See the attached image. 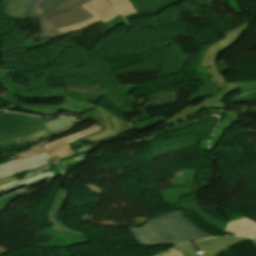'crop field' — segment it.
Masks as SVG:
<instances>
[{
  "label": "crop field",
  "instance_id": "1",
  "mask_svg": "<svg viewBox=\"0 0 256 256\" xmlns=\"http://www.w3.org/2000/svg\"><path fill=\"white\" fill-rule=\"evenodd\" d=\"M139 244L144 246L175 244L213 237L196 227L181 211L159 215L143 227H129Z\"/></svg>",
  "mask_w": 256,
  "mask_h": 256
},
{
  "label": "crop field",
  "instance_id": "2",
  "mask_svg": "<svg viewBox=\"0 0 256 256\" xmlns=\"http://www.w3.org/2000/svg\"><path fill=\"white\" fill-rule=\"evenodd\" d=\"M88 1L90 0H67L59 3L62 8L45 14L42 13L37 5L30 9L40 19L42 28L41 37L47 36L50 40L54 37L61 36L58 28L94 17L81 6ZM107 1L109 2V0Z\"/></svg>",
  "mask_w": 256,
  "mask_h": 256
},
{
  "label": "crop field",
  "instance_id": "3",
  "mask_svg": "<svg viewBox=\"0 0 256 256\" xmlns=\"http://www.w3.org/2000/svg\"><path fill=\"white\" fill-rule=\"evenodd\" d=\"M248 24L249 22L246 19L245 23L225 32L226 36L213 43L205 53L201 66L205 67L217 88H221L226 83V80L216 67V59L220 53L234 44L243 35Z\"/></svg>",
  "mask_w": 256,
  "mask_h": 256
},
{
  "label": "crop field",
  "instance_id": "4",
  "mask_svg": "<svg viewBox=\"0 0 256 256\" xmlns=\"http://www.w3.org/2000/svg\"><path fill=\"white\" fill-rule=\"evenodd\" d=\"M243 237H218L203 241L188 242L175 246L183 256H201L197 251H202L203 256H217L226 248L246 240Z\"/></svg>",
  "mask_w": 256,
  "mask_h": 256
},
{
  "label": "crop field",
  "instance_id": "5",
  "mask_svg": "<svg viewBox=\"0 0 256 256\" xmlns=\"http://www.w3.org/2000/svg\"><path fill=\"white\" fill-rule=\"evenodd\" d=\"M45 128L44 124L20 121L7 113H0V147L15 144L13 138Z\"/></svg>",
  "mask_w": 256,
  "mask_h": 256
},
{
  "label": "crop field",
  "instance_id": "6",
  "mask_svg": "<svg viewBox=\"0 0 256 256\" xmlns=\"http://www.w3.org/2000/svg\"><path fill=\"white\" fill-rule=\"evenodd\" d=\"M96 108L101 112L106 128L103 132L97 133L95 135L92 134L93 136L85 138L86 142L93 144L97 141L112 137L122 132L132 130V124L130 122L118 118L113 112L106 111L98 106Z\"/></svg>",
  "mask_w": 256,
  "mask_h": 256
},
{
  "label": "crop field",
  "instance_id": "7",
  "mask_svg": "<svg viewBox=\"0 0 256 256\" xmlns=\"http://www.w3.org/2000/svg\"><path fill=\"white\" fill-rule=\"evenodd\" d=\"M48 158H50L49 155L44 151L28 158H23L20 160L14 159L9 162L1 163L0 178L15 176V174L24 170L33 169L44 165L47 163L46 160Z\"/></svg>",
  "mask_w": 256,
  "mask_h": 256
},
{
  "label": "crop field",
  "instance_id": "8",
  "mask_svg": "<svg viewBox=\"0 0 256 256\" xmlns=\"http://www.w3.org/2000/svg\"><path fill=\"white\" fill-rule=\"evenodd\" d=\"M62 160L59 159L56 155L51 157L49 160H47L48 164L38 167L36 169L31 170L30 173H26L25 177L22 178L21 180H16L8 184H4L0 186V190H3L4 192L13 188H17L23 185H31L36 182L42 181L44 179L54 177L55 175L52 174V172H47L50 170L52 167L57 165L59 162Z\"/></svg>",
  "mask_w": 256,
  "mask_h": 256
},
{
  "label": "crop field",
  "instance_id": "9",
  "mask_svg": "<svg viewBox=\"0 0 256 256\" xmlns=\"http://www.w3.org/2000/svg\"><path fill=\"white\" fill-rule=\"evenodd\" d=\"M69 194H70V191H65V190H59L57 192V194L52 202L51 208L47 214V218L53 226V227H51V229H53L55 231H61V232H70L72 234H76L78 236L85 237V236L79 235L78 233H76L72 230H69V229L63 227L62 224H59L57 214L63 207Z\"/></svg>",
  "mask_w": 256,
  "mask_h": 256
},
{
  "label": "crop field",
  "instance_id": "10",
  "mask_svg": "<svg viewBox=\"0 0 256 256\" xmlns=\"http://www.w3.org/2000/svg\"><path fill=\"white\" fill-rule=\"evenodd\" d=\"M83 6L104 23L120 14L113 5L105 0H93Z\"/></svg>",
  "mask_w": 256,
  "mask_h": 256
},
{
  "label": "crop field",
  "instance_id": "11",
  "mask_svg": "<svg viewBox=\"0 0 256 256\" xmlns=\"http://www.w3.org/2000/svg\"><path fill=\"white\" fill-rule=\"evenodd\" d=\"M238 89H240V87L237 82L226 83L224 87L221 88L217 93L211 95V97H209L208 99H206L205 101L197 105L202 107H207V108H214V109L224 108L225 106L222 102L224 97L235 92Z\"/></svg>",
  "mask_w": 256,
  "mask_h": 256
},
{
  "label": "crop field",
  "instance_id": "12",
  "mask_svg": "<svg viewBox=\"0 0 256 256\" xmlns=\"http://www.w3.org/2000/svg\"><path fill=\"white\" fill-rule=\"evenodd\" d=\"M224 231L235 235L254 237L256 236V223L243 218L229 222Z\"/></svg>",
  "mask_w": 256,
  "mask_h": 256
},
{
  "label": "crop field",
  "instance_id": "13",
  "mask_svg": "<svg viewBox=\"0 0 256 256\" xmlns=\"http://www.w3.org/2000/svg\"><path fill=\"white\" fill-rule=\"evenodd\" d=\"M21 110L39 113L44 115H56L61 109L71 110L73 112H84L77 108H72L64 105H33V104H24L20 103L19 108Z\"/></svg>",
  "mask_w": 256,
  "mask_h": 256
},
{
  "label": "crop field",
  "instance_id": "14",
  "mask_svg": "<svg viewBox=\"0 0 256 256\" xmlns=\"http://www.w3.org/2000/svg\"><path fill=\"white\" fill-rule=\"evenodd\" d=\"M101 127L98 126L97 124L89 129H86L80 133H77V134H73V135H70L68 137H65L63 139H59V140H56L52 143H49V144H46L44 145V147L46 148L47 152H52L64 145H67V144H70V143H74L76 140L78 139H81V138H84L86 136H89V135H92V134H95L97 133L98 130H100Z\"/></svg>",
  "mask_w": 256,
  "mask_h": 256
},
{
  "label": "crop field",
  "instance_id": "15",
  "mask_svg": "<svg viewBox=\"0 0 256 256\" xmlns=\"http://www.w3.org/2000/svg\"><path fill=\"white\" fill-rule=\"evenodd\" d=\"M166 0H129L137 13L158 9Z\"/></svg>",
  "mask_w": 256,
  "mask_h": 256
},
{
  "label": "crop field",
  "instance_id": "16",
  "mask_svg": "<svg viewBox=\"0 0 256 256\" xmlns=\"http://www.w3.org/2000/svg\"><path fill=\"white\" fill-rule=\"evenodd\" d=\"M201 109H202V107H199V106H187L184 109H182L180 112L175 114L174 116L168 118V120L165 121V123L168 126L175 125L176 123H179V122L183 121L184 119L188 118L189 116L197 113Z\"/></svg>",
  "mask_w": 256,
  "mask_h": 256
},
{
  "label": "crop field",
  "instance_id": "17",
  "mask_svg": "<svg viewBox=\"0 0 256 256\" xmlns=\"http://www.w3.org/2000/svg\"><path fill=\"white\" fill-rule=\"evenodd\" d=\"M73 125L74 124L69 125V126L63 128V129L59 130V131L67 129V128L73 126ZM59 131H56V132H59ZM56 132H53V133H56ZM53 133H51L47 128H45V129L39 130L37 132L27 134V135L22 136V137H17V138H15V141H17L18 144H22V143H26V142H29V141L40 139L42 137H45V136L53 134Z\"/></svg>",
  "mask_w": 256,
  "mask_h": 256
},
{
  "label": "crop field",
  "instance_id": "18",
  "mask_svg": "<svg viewBox=\"0 0 256 256\" xmlns=\"http://www.w3.org/2000/svg\"><path fill=\"white\" fill-rule=\"evenodd\" d=\"M74 122L75 120L72 118H56L45 123V125L51 132H53Z\"/></svg>",
  "mask_w": 256,
  "mask_h": 256
},
{
  "label": "crop field",
  "instance_id": "19",
  "mask_svg": "<svg viewBox=\"0 0 256 256\" xmlns=\"http://www.w3.org/2000/svg\"><path fill=\"white\" fill-rule=\"evenodd\" d=\"M123 16L136 13L127 0H111Z\"/></svg>",
  "mask_w": 256,
  "mask_h": 256
},
{
  "label": "crop field",
  "instance_id": "20",
  "mask_svg": "<svg viewBox=\"0 0 256 256\" xmlns=\"http://www.w3.org/2000/svg\"><path fill=\"white\" fill-rule=\"evenodd\" d=\"M97 22H100L99 19H97L96 17L90 19V20H86L82 23H79V24H76V25H72V26H67L65 28H61L60 31L63 34L65 33H68V32H71V31H74V30H77V29H80V28H83V27H86L88 25H91V24H94V23H97Z\"/></svg>",
  "mask_w": 256,
  "mask_h": 256
},
{
  "label": "crop field",
  "instance_id": "21",
  "mask_svg": "<svg viewBox=\"0 0 256 256\" xmlns=\"http://www.w3.org/2000/svg\"><path fill=\"white\" fill-rule=\"evenodd\" d=\"M62 1L64 0H41L39 3H37V5L41 8V10L44 13L50 10L60 8V6L57 3Z\"/></svg>",
  "mask_w": 256,
  "mask_h": 256
},
{
  "label": "crop field",
  "instance_id": "22",
  "mask_svg": "<svg viewBox=\"0 0 256 256\" xmlns=\"http://www.w3.org/2000/svg\"><path fill=\"white\" fill-rule=\"evenodd\" d=\"M55 154H57V156L60 157L62 160L70 156L77 155V153L69 145L62 147L52 153H49L50 157Z\"/></svg>",
  "mask_w": 256,
  "mask_h": 256
},
{
  "label": "crop field",
  "instance_id": "23",
  "mask_svg": "<svg viewBox=\"0 0 256 256\" xmlns=\"http://www.w3.org/2000/svg\"><path fill=\"white\" fill-rule=\"evenodd\" d=\"M62 104L72 106V107H77L85 111H89L90 109L93 108V106L87 102H80V101H74V100H68V99H64Z\"/></svg>",
  "mask_w": 256,
  "mask_h": 256
},
{
  "label": "crop field",
  "instance_id": "24",
  "mask_svg": "<svg viewBox=\"0 0 256 256\" xmlns=\"http://www.w3.org/2000/svg\"><path fill=\"white\" fill-rule=\"evenodd\" d=\"M7 17H14L19 15L18 0H11L9 5L5 8Z\"/></svg>",
  "mask_w": 256,
  "mask_h": 256
},
{
  "label": "crop field",
  "instance_id": "25",
  "mask_svg": "<svg viewBox=\"0 0 256 256\" xmlns=\"http://www.w3.org/2000/svg\"><path fill=\"white\" fill-rule=\"evenodd\" d=\"M21 120L24 121H29V122H34V123H44L46 122L45 120L39 119L37 117H32V116H27V115H21V114H14V113H9Z\"/></svg>",
  "mask_w": 256,
  "mask_h": 256
},
{
  "label": "crop field",
  "instance_id": "26",
  "mask_svg": "<svg viewBox=\"0 0 256 256\" xmlns=\"http://www.w3.org/2000/svg\"><path fill=\"white\" fill-rule=\"evenodd\" d=\"M39 0H19L20 4V15L23 11H25L27 8L33 7Z\"/></svg>",
  "mask_w": 256,
  "mask_h": 256
},
{
  "label": "crop field",
  "instance_id": "27",
  "mask_svg": "<svg viewBox=\"0 0 256 256\" xmlns=\"http://www.w3.org/2000/svg\"><path fill=\"white\" fill-rule=\"evenodd\" d=\"M43 150H45V148L41 145V146H39V147L21 155V156H18L17 158L20 159V158H23V157L31 156V155H34V154H36L38 152H41Z\"/></svg>",
  "mask_w": 256,
  "mask_h": 256
},
{
  "label": "crop field",
  "instance_id": "28",
  "mask_svg": "<svg viewBox=\"0 0 256 256\" xmlns=\"http://www.w3.org/2000/svg\"><path fill=\"white\" fill-rule=\"evenodd\" d=\"M157 256H182V255L174 247V248L167 250Z\"/></svg>",
  "mask_w": 256,
  "mask_h": 256
},
{
  "label": "crop field",
  "instance_id": "29",
  "mask_svg": "<svg viewBox=\"0 0 256 256\" xmlns=\"http://www.w3.org/2000/svg\"><path fill=\"white\" fill-rule=\"evenodd\" d=\"M16 179H17L16 176L15 177H11V178H2V179H0V185L4 184V183L11 182V181L16 180Z\"/></svg>",
  "mask_w": 256,
  "mask_h": 256
},
{
  "label": "crop field",
  "instance_id": "30",
  "mask_svg": "<svg viewBox=\"0 0 256 256\" xmlns=\"http://www.w3.org/2000/svg\"><path fill=\"white\" fill-rule=\"evenodd\" d=\"M238 83L240 84V86L242 88V87L247 86V85L256 84V81H246V82H238Z\"/></svg>",
  "mask_w": 256,
  "mask_h": 256
},
{
  "label": "crop field",
  "instance_id": "31",
  "mask_svg": "<svg viewBox=\"0 0 256 256\" xmlns=\"http://www.w3.org/2000/svg\"><path fill=\"white\" fill-rule=\"evenodd\" d=\"M252 241L255 243V245H256V239H252Z\"/></svg>",
  "mask_w": 256,
  "mask_h": 256
},
{
  "label": "crop field",
  "instance_id": "32",
  "mask_svg": "<svg viewBox=\"0 0 256 256\" xmlns=\"http://www.w3.org/2000/svg\"><path fill=\"white\" fill-rule=\"evenodd\" d=\"M194 1H196L198 3L199 0H194Z\"/></svg>",
  "mask_w": 256,
  "mask_h": 256
},
{
  "label": "crop field",
  "instance_id": "33",
  "mask_svg": "<svg viewBox=\"0 0 256 256\" xmlns=\"http://www.w3.org/2000/svg\"><path fill=\"white\" fill-rule=\"evenodd\" d=\"M1 192H3V191H1ZM1 192H0V193H1Z\"/></svg>",
  "mask_w": 256,
  "mask_h": 256
}]
</instances>
